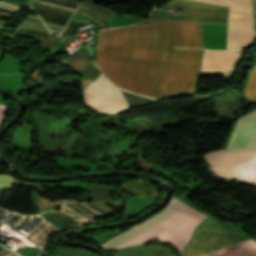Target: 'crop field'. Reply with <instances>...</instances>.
Returning a JSON list of instances; mask_svg holds the SVG:
<instances>
[{"mask_svg":"<svg viewBox=\"0 0 256 256\" xmlns=\"http://www.w3.org/2000/svg\"><path fill=\"white\" fill-rule=\"evenodd\" d=\"M201 24L161 21L98 31L95 64L117 86L155 99L194 93ZM181 47V48H173Z\"/></svg>","mask_w":256,"mask_h":256,"instance_id":"1","label":"crop field"},{"mask_svg":"<svg viewBox=\"0 0 256 256\" xmlns=\"http://www.w3.org/2000/svg\"><path fill=\"white\" fill-rule=\"evenodd\" d=\"M206 217L172 198L161 212L104 242L100 248L110 251L128 245L160 241L172 245L181 255L195 227ZM240 241L243 240L209 217L197 227L183 256H200Z\"/></svg>","mask_w":256,"mask_h":256,"instance_id":"2","label":"crop field"},{"mask_svg":"<svg viewBox=\"0 0 256 256\" xmlns=\"http://www.w3.org/2000/svg\"><path fill=\"white\" fill-rule=\"evenodd\" d=\"M204 160L216 173L256 186V150H218L206 154Z\"/></svg>","mask_w":256,"mask_h":256,"instance_id":"3","label":"crop field"},{"mask_svg":"<svg viewBox=\"0 0 256 256\" xmlns=\"http://www.w3.org/2000/svg\"><path fill=\"white\" fill-rule=\"evenodd\" d=\"M230 6L227 49H244L256 37L252 29L250 0H193Z\"/></svg>","mask_w":256,"mask_h":256,"instance_id":"4","label":"crop field"},{"mask_svg":"<svg viewBox=\"0 0 256 256\" xmlns=\"http://www.w3.org/2000/svg\"><path fill=\"white\" fill-rule=\"evenodd\" d=\"M168 7L185 9L182 19L168 18L169 12L154 10L150 22L161 20H180L198 23L227 24L229 7L205 4L187 0H171Z\"/></svg>","mask_w":256,"mask_h":256,"instance_id":"5","label":"crop field"},{"mask_svg":"<svg viewBox=\"0 0 256 256\" xmlns=\"http://www.w3.org/2000/svg\"><path fill=\"white\" fill-rule=\"evenodd\" d=\"M86 105L103 113L116 114L129 110L120 90L101 75L89 83L84 91Z\"/></svg>","mask_w":256,"mask_h":256,"instance_id":"6","label":"crop field"},{"mask_svg":"<svg viewBox=\"0 0 256 256\" xmlns=\"http://www.w3.org/2000/svg\"><path fill=\"white\" fill-rule=\"evenodd\" d=\"M256 148V111L241 117L227 149Z\"/></svg>","mask_w":256,"mask_h":256,"instance_id":"7","label":"crop field"},{"mask_svg":"<svg viewBox=\"0 0 256 256\" xmlns=\"http://www.w3.org/2000/svg\"><path fill=\"white\" fill-rule=\"evenodd\" d=\"M241 50L214 51L206 50L203 56L201 71L232 73L234 64L239 58Z\"/></svg>","mask_w":256,"mask_h":256,"instance_id":"8","label":"crop field"},{"mask_svg":"<svg viewBox=\"0 0 256 256\" xmlns=\"http://www.w3.org/2000/svg\"><path fill=\"white\" fill-rule=\"evenodd\" d=\"M68 63L73 69L93 79L100 73L97 67L92 63V61L86 55L84 49L80 50L75 55L68 58Z\"/></svg>","mask_w":256,"mask_h":256,"instance_id":"9","label":"crop field"},{"mask_svg":"<svg viewBox=\"0 0 256 256\" xmlns=\"http://www.w3.org/2000/svg\"><path fill=\"white\" fill-rule=\"evenodd\" d=\"M203 256H256V242L250 239Z\"/></svg>","mask_w":256,"mask_h":256,"instance_id":"10","label":"crop field"},{"mask_svg":"<svg viewBox=\"0 0 256 256\" xmlns=\"http://www.w3.org/2000/svg\"><path fill=\"white\" fill-rule=\"evenodd\" d=\"M146 183L143 181L130 180L127 182H123L121 187L128 192L134 193L139 196H146L153 200L156 196V192L152 186Z\"/></svg>","mask_w":256,"mask_h":256,"instance_id":"11","label":"crop field"},{"mask_svg":"<svg viewBox=\"0 0 256 256\" xmlns=\"http://www.w3.org/2000/svg\"><path fill=\"white\" fill-rule=\"evenodd\" d=\"M244 94L247 99L256 100V64L247 78Z\"/></svg>","mask_w":256,"mask_h":256,"instance_id":"12","label":"crop field"},{"mask_svg":"<svg viewBox=\"0 0 256 256\" xmlns=\"http://www.w3.org/2000/svg\"><path fill=\"white\" fill-rule=\"evenodd\" d=\"M91 194L93 201H102L110 199L109 187L102 185H91Z\"/></svg>","mask_w":256,"mask_h":256,"instance_id":"13","label":"crop field"},{"mask_svg":"<svg viewBox=\"0 0 256 256\" xmlns=\"http://www.w3.org/2000/svg\"><path fill=\"white\" fill-rule=\"evenodd\" d=\"M121 92L125 96V98H126L127 102L129 103L130 107L146 104V103H149V102H152V101H156V100L149 99L147 97L127 93V92H124V91H121Z\"/></svg>","mask_w":256,"mask_h":256,"instance_id":"14","label":"crop field"},{"mask_svg":"<svg viewBox=\"0 0 256 256\" xmlns=\"http://www.w3.org/2000/svg\"><path fill=\"white\" fill-rule=\"evenodd\" d=\"M12 184L22 185V186H34V184L17 181L6 175H0V189H11Z\"/></svg>","mask_w":256,"mask_h":256,"instance_id":"15","label":"crop field"},{"mask_svg":"<svg viewBox=\"0 0 256 256\" xmlns=\"http://www.w3.org/2000/svg\"><path fill=\"white\" fill-rule=\"evenodd\" d=\"M39 41L41 42L43 47H51L53 44H57L58 43L56 37L42 38V39H39Z\"/></svg>","mask_w":256,"mask_h":256,"instance_id":"16","label":"crop field"},{"mask_svg":"<svg viewBox=\"0 0 256 256\" xmlns=\"http://www.w3.org/2000/svg\"><path fill=\"white\" fill-rule=\"evenodd\" d=\"M7 111V107L0 105V123L2 122Z\"/></svg>","mask_w":256,"mask_h":256,"instance_id":"17","label":"crop field"},{"mask_svg":"<svg viewBox=\"0 0 256 256\" xmlns=\"http://www.w3.org/2000/svg\"><path fill=\"white\" fill-rule=\"evenodd\" d=\"M3 256H16V255L10 252V253H7V254H5Z\"/></svg>","mask_w":256,"mask_h":256,"instance_id":"18","label":"crop field"},{"mask_svg":"<svg viewBox=\"0 0 256 256\" xmlns=\"http://www.w3.org/2000/svg\"><path fill=\"white\" fill-rule=\"evenodd\" d=\"M3 191H4V190H0V198H1V195H2Z\"/></svg>","mask_w":256,"mask_h":256,"instance_id":"19","label":"crop field"},{"mask_svg":"<svg viewBox=\"0 0 256 256\" xmlns=\"http://www.w3.org/2000/svg\"><path fill=\"white\" fill-rule=\"evenodd\" d=\"M255 28H256V20H255Z\"/></svg>","mask_w":256,"mask_h":256,"instance_id":"20","label":"crop field"}]
</instances>
